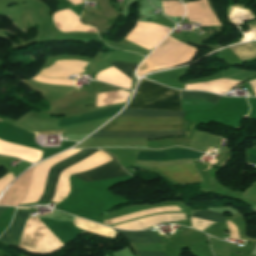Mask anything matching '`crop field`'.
Masks as SVG:
<instances>
[{"mask_svg":"<svg viewBox=\"0 0 256 256\" xmlns=\"http://www.w3.org/2000/svg\"><path fill=\"white\" fill-rule=\"evenodd\" d=\"M202 153L197 151L188 150H166L161 153L153 152H140L138 159L143 160H157V161H168L172 159L182 158V157H200ZM160 169L167 177L178 183H192L195 181H201V178L193 167V164L181 165L176 167H157Z\"/></svg>","mask_w":256,"mask_h":256,"instance_id":"4","label":"crop field"},{"mask_svg":"<svg viewBox=\"0 0 256 256\" xmlns=\"http://www.w3.org/2000/svg\"><path fill=\"white\" fill-rule=\"evenodd\" d=\"M247 159H248L247 162L256 165V157H254V156H252V155L247 153Z\"/></svg>","mask_w":256,"mask_h":256,"instance_id":"10","label":"crop field"},{"mask_svg":"<svg viewBox=\"0 0 256 256\" xmlns=\"http://www.w3.org/2000/svg\"><path fill=\"white\" fill-rule=\"evenodd\" d=\"M181 96H182V99H201V100L213 102L215 104H217V102L220 99V96L213 95V94L206 93V92H184V91H181Z\"/></svg>","mask_w":256,"mask_h":256,"instance_id":"7","label":"crop field"},{"mask_svg":"<svg viewBox=\"0 0 256 256\" xmlns=\"http://www.w3.org/2000/svg\"><path fill=\"white\" fill-rule=\"evenodd\" d=\"M84 1V0H83Z\"/></svg>","mask_w":256,"mask_h":256,"instance_id":"13","label":"crop field"},{"mask_svg":"<svg viewBox=\"0 0 256 256\" xmlns=\"http://www.w3.org/2000/svg\"><path fill=\"white\" fill-rule=\"evenodd\" d=\"M122 107H123V106H122ZM122 107H121V108H122ZM121 108H120V109H121ZM120 109H119V110H120ZM119 110H118V111H119ZM118 111H117V112H118ZM117 112H116V113H117ZM116 113H115V114H116ZM115 114H114V115H115ZM112 116H113V115H112Z\"/></svg>","mask_w":256,"mask_h":256,"instance_id":"12","label":"crop field"},{"mask_svg":"<svg viewBox=\"0 0 256 256\" xmlns=\"http://www.w3.org/2000/svg\"><path fill=\"white\" fill-rule=\"evenodd\" d=\"M8 207H0V215L7 209Z\"/></svg>","mask_w":256,"mask_h":256,"instance_id":"11","label":"crop field"},{"mask_svg":"<svg viewBox=\"0 0 256 256\" xmlns=\"http://www.w3.org/2000/svg\"><path fill=\"white\" fill-rule=\"evenodd\" d=\"M118 116L127 117H184V112L125 109ZM115 117L106 125H183L184 118H127ZM183 129V126H104L99 131H154ZM184 136L183 130L154 132H97L89 138H159Z\"/></svg>","mask_w":256,"mask_h":256,"instance_id":"1","label":"crop field"},{"mask_svg":"<svg viewBox=\"0 0 256 256\" xmlns=\"http://www.w3.org/2000/svg\"><path fill=\"white\" fill-rule=\"evenodd\" d=\"M118 234H121L127 242H139V243H162L150 230L130 232L115 230ZM139 256H165L164 254H142L137 253Z\"/></svg>","mask_w":256,"mask_h":256,"instance_id":"6","label":"crop field"},{"mask_svg":"<svg viewBox=\"0 0 256 256\" xmlns=\"http://www.w3.org/2000/svg\"><path fill=\"white\" fill-rule=\"evenodd\" d=\"M97 149H89L83 150L59 163L52 166L47 177L44 193L42 198L38 202L43 201H50L55 193V187L58 181L59 173L62 169L72 165L73 163L91 155L92 153L96 152ZM129 174L126 173L122 168H120L114 160L104 164L98 168L92 169L85 173L75 174L78 178L85 182L89 181H96V180H104V179H111L117 177L128 176Z\"/></svg>","mask_w":256,"mask_h":256,"instance_id":"2","label":"crop field"},{"mask_svg":"<svg viewBox=\"0 0 256 256\" xmlns=\"http://www.w3.org/2000/svg\"><path fill=\"white\" fill-rule=\"evenodd\" d=\"M192 215L214 223L223 221L224 219V215L209 211L194 212Z\"/></svg>","mask_w":256,"mask_h":256,"instance_id":"8","label":"crop field"},{"mask_svg":"<svg viewBox=\"0 0 256 256\" xmlns=\"http://www.w3.org/2000/svg\"><path fill=\"white\" fill-rule=\"evenodd\" d=\"M118 70L124 73L126 76L133 79V69L136 66L135 64L124 63V62H112Z\"/></svg>","mask_w":256,"mask_h":256,"instance_id":"9","label":"crop field"},{"mask_svg":"<svg viewBox=\"0 0 256 256\" xmlns=\"http://www.w3.org/2000/svg\"><path fill=\"white\" fill-rule=\"evenodd\" d=\"M29 211L30 209H17L12 224L0 237V241L8 245L18 246Z\"/></svg>","mask_w":256,"mask_h":256,"instance_id":"5","label":"crop field"},{"mask_svg":"<svg viewBox=\"0 0 256 256\" xmlns=\"http://www.w3.org/2000/svg\"><path fill=\"white\" fill-rule=\"evenodd\" d=\"M127 108L182 111L179 91L142 79Z\"/></svg>","mask_w":256,"mask_h":256,"instance_id":"3","label":"crop field"}]
</instances>
